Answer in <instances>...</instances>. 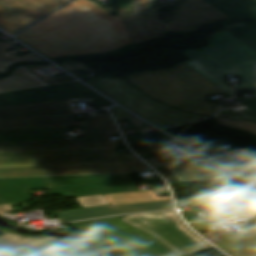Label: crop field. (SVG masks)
<instances>
[{
  "mask_svg": "<svg viewBox=\"0 0 256 256\" xmlns=\"http://www.w3.org/2000/svg\"><path fill=\"white\" fill-rule=\"evenodd\" d=\"M115 127L109 115L87 117L84 139L1 142L0 176L127 172L146 168L137 158L115 150L118 142L109 139L117 133Z\"/></svg>",
  "mask_w": 256,
  "mask_h": 256,
  "instance_id": "1",
  "label": "crop field"
},
{
  "mask_svg": "<svg viewBox=\"0 0 256 256\" xmlns=\"http://www.w3.org/2000/svg\"><path fill=\"white\" fill-rule=\"evenodd\" d=\"M48 58L118 49L132 40L120 18L89 0H76L17 36Z\"/></svg>",
  "mask_w": 256,
  "mask_h": 256,
  "instance_id": "2",
  "label": "crop field"
},
{
  "mask_svg": "<svg viewBox=\"0 0 256 256\" xmlns=\"http://www.w3.org/2000/svg\"><path fill=\"white\" fill-rule=\"evenodd\" d=\"M118 12L136 46L154 39H167L163 31L192 35L201 26L229 19L204 0H186L164 22L155 0H122Z\"/></svg>",
  "mask_w": 256,
  "mask_h": 256,
  "instance_id": "3",
  "label": "crop field"
},
{
  "mask_svg": "<svg viewBox=\"0 0 256 256\" xmlns=\"http://www.w3.org/2000/svg\"><path fill=\"white\" fill-rule=\"evenodd\" d=\"M125 78L149 96L189 113L216 114L220 103H206L204 95L223 93L230 98L183 63L174 69L143 72Z\"/></svg>",
  "mask_w": 256,
  "mask_h": 256,
  "instance_id": "4",
  "label": "crop field"
},
{
  "mask_svg": "<svg viewBox=\"0 0 256 256\" xmlns=\"http://www.w3.org/2000/svg\"><path fill=\"white\" fill-rule=\"evenodd\" d=\"M209 44L183 52L190 59L184 63L232 97L226 75L241 77L242 86L236 90L253 89L251 64H256V52L226 30L210 37Z\"/></svg>",
  "mask_w": 256,
  "mask_h": 256,
  "instance_id": "5",
  "label": "crop field"
},
{
  "mask_svg": "<svg viewBox=\"0 0 256 256\" xmlns=\"http://www.w3.org/2000/svg\"><path fill=\"white\" fill-rule=\"evenodd\" d=\"M87 82L165 130L210 118L188 114L155 101L122 77L103 76Z\"/></svg>",
  "mask_w": 256,
  "mask_h": 256,
  "instance_id": "6",
  "label": "crop field"
},
{
  "mask_svg": "<svg viewBox=\"0 0 256 256\" xmlns=\"http://www.w3.org/2000/svg\"><path fill=\"white\" fill-rule=\"evenodd\" d=\"M120 219L155 237L178 256L212 248L186 228L173 211L130 215Z\"/></svg>",
  "mask_w": 256,
  "mask_h": 256,
  "instance_id": "7",
  "label": "crop field"
},
{
  "mask_svg": "<svg viewBox=\"0 0 256 256\" xmlns=\"http://www.w3.org/2000/svg\"><path fill=\"white\" fill-rule=\"evenodd\" d=\"M80 236L109 250L119 240L122 249L154 239L116 217L74 222Z\"/></svg>",
  "mask_w": 256,
  "mask_h": 256,
  "instance_id": "8",
  "label": "crop field"
},
{
  "mask_svg": "<svg viewBox=\"0 0 256 256\" xmlns=\"http://www.w3.org/2000/svg\"><path fill=\"white\" fill-rule=\"evenodd\" d=\"M50 180L52 193L63 194L65 197L137 190L127 174L56 176L50 177Z\"/></svg>",
  "mask_w": 256,
  "mask_h": 256,
  "instance_id": "9",
  "label": "crop field"
},
{
  "mask_svg": "<svg viewBox=\"0 0 256 256\" xmlns=\"http://www.w3.org/2000/svg\"><path fill=\"white\" fill-rule=\"evenodd\" d=\"M60 5L53 0H0V26L15 33Z\"/></svg>",
  "mask_w": 256,
  "mask_h": 256,
  "instance_id": "10",
  "label": "crop field"
},
{
  "mask_svg": "<svg viewBox=\"0 0 256 256\" xmlns=\"http://www.w3.org/2000/svg\"><path fill=\"white\" fill-rule=\"evenodd\" d=\"M85 96L75 83H65L0 94V107Z\"/></svg>",
  "mask_w": 256,
  "mask_h": 256,
  "instance_id": "11",
  "label": "crop field"
},
{
  "mask_svg": "<svg viewBox=\"0 0 256 256\" xmlns=\"http://www.w3.org/2000/svg\"><path fill=\"white\" fill-rule=\"evenodd\" d=\"M73 99L75 101H72ZM73 99L2 107L0 108V120L73 114L69 103L77 102L80 99L86 100L85 97Z\"/></svg>",
  "mask_w": 256,
  "mask_h": 256,
  "instance_id": "12",
  "label": "crop field"
},
{
  "mask_svg": "<svg viewBox=\"0 0 256 256\" xmlns=\"http://www.w3.org/2000/svg\"><path fill=\"white\" fill-rule=\"evenodd\" d=\"M173 206L171 201L166 202H155V203H144V204H135L127 206L112 207L101 206L87 209H80L68 212L57 213L60 223L67 221H75L99 216L131 213V212H141V211H153V210H165L172 209Z\"/></svg>",
  "mask_w": 256,
  "mask_h": 256,
  "instance_id": "13",
  "label": "crop field"
},
{
  "mask_svg": "<svg viewBox=\"0 0 256 256\" xmlns=\"http://www.w3.org/2000/svg\"><path fill=\"white\" fill-rule=\"evenodd\" d=\"M49 188L46 177L0 179V204L27 202L30 189Z\"/></svg>",
  "mask_w": 256,
  "mask_h": 256,
  "instance_id": "14",
  "label": "crop field"
},
{
  "mask_svg": "<svg viewBox=\"0 0 256 256\" xmlns=\"http://www.w3.org/2000/svg\"><path fill=\"white\" fill-rule=\"evenodd\" d=\"M59 237L25 236L8 232L0 237V256H19Z\"/></svg>",
  "mask_w": 256,
  "mask_h": 256,
  "instance_id": "15",
  "label": "crop field"
},
{
  "mask_svg": "<svg viewBox=\"0 0 256 256\" xmlns=\"http://www.w3.org/2000/svg\"><path fill=\"white\" fill-rule=\"evenodd\" d=\"M83 122H76L75 116L22 119L0 121V130L50 128V127H75L82 126Z\"/></svg>",
  "mask_w": 256,
  "mask_h": 256,
  "instance_id": "16",
  "label": "crop field"
},
{
  "mask_svg": "<svg viewBox=\"0 0 256 256\" xmlns=\"http://www.w3.org/2000/svg\"><path fill=\"white\" fill-rule=\"evenodd\" d=\"M167 168L181 183L226 179L225 171L217 166L192 168L188 164Z\"/></svg>",
  "mask_w": 256,
  "mask_h": 256,
  "instance_id": "17",
  "label": "crop field"
},
{
  "mask_svg": "<svg viewBox=\"0 0 256 256\" xmlns=\"http://www.w3.org/2000/svg\"><path fill=\"white\" fill-rule=\"evenodd\" d=\"M86 248L66 239L59 238L39 249L21 256H88Z\"/></svg>",
  "mask_w": 256,
  "mask_h": 256,
  "instance_id": "18",
  "label": "crop field"
},
{
  "mask_svg": "<svg viewBox=\"0 0 256 256\" xmlns=\"http://www.w3.org/2000/svg\"><path fill=\"white\" fill-rule=\"evenodd\" d=\"M230 18L256 21V0H205Z\"/></svg>",
  "mask_w": 256,
  "mask_h": 256,
  "instance_id": "19",
  "label": "crop field"
},
{
  "mask_svg": "<svg viewBox=\"0 0 256 256\" xmlns=\"http://www.w3.org/2000/svg\"><path fill=\"white\" fill-rule=\"evenodd\" d=\"M47 85L24 66L15 68L11 76L0 79V93Z\"/></svg>",
  "mask_w": 256,
  "mask_h": 256,
  "instance_id": "20",
  "label": "crop field"
},
{
  "mask_svg": "<svg viewBox=\"0 0 256 256\" xmlns=\"http://www.w3.org/2000/svg\"><path fill=\"white\" fill-rule=\"evenodd\" d=\"M106 197L113 206L171 200L170 196L157 197L154 191L110 194Z\"/></svg>",
  "mask_w": 256,
  "mask_h": 256,
  "instance_id": "21",
  "label": "crop field"
},
{
  "mask_svg": "<svg viewBox=\"0 0 256 256\" xmlns=\"http://www.w3.org/2000/svg\"><path fill=\"white\" fill-rule=\"evenodd\" d=\"M121 253V256H177L156 239L121 250Z\"/></svg>",
  "mask_w": 256,
  "mask_h": 256,
  "instance_id": "22",
  "label": "crop field"
},
{
  "mask_svg": "<svg viewBox=\"0 0 256 256\" xmlns=\"http://www.w3.org/2000/svg\"><path fill=\"white\" fill-rule=\"evenodd\" d=\"M16 48L12 43H0V72H6L11 64L17 62H44L38 56L30 53L19 57L17 55H9L4 49ZM33 56L34 58H29Z\"/></svg>",
  "mask_w": 256,
  "mask_h": 256,
  "instance_id": "23",
  "label": "crop field"
},
{
  "mask_svg": "<svg viewBox=\"0 0 256 256\" xmlns=\"http://www.w3.org/2000/svg\"><path fill=\"white\" fill-rule=\"evenodd\" d=\"M224 29L256 51V28L248 24L235 23L224 27Z\"/></svg>",
  "mask_w": 256,
  "mask_h": 256,
  "instance_id": "24",
  "label": "crop field"
},
{
  "mask_svg": "<svg viewBox=\"0 0 256 256\" xmlns=\"http://www.w3.org/2000/svg\"><path fill=\"white\" fill-rule=\"evenodd\" d=\"M216 119L219 124H223L226 126H230L233 128H237L240 130H244V131L256 134V123L246 122V121L233 122V121H229V120H225L217 117Z\"/></svg>",
  "mask_w": 256,
  "mask_h": 256,
  "instance_id": "25",
  "label": "crop field"
},
{
  "mask_svg": "<svg viewBox=\"0 0 256 256\" xmlns=\"http://www.w3.org/2000/svg\"><path fill=\"white\" fill-rule=\"evenodd\" d=\"M61 66L64 68L68 69L69 71H84L88 73H93L94 71L82 64L79 61H74V62H66V63H60Z\"/></svg>",
  "mask_w": 256,
  "mask_h": 256,
  "instance_id": "26",
  "label": "crop field"
},
{
  "mask_svg": "<svg viewBox=\"0 0 256 256\" xmlns=\"http://www.w3.org/2000/svg\"><path fill=\"white\" fill-rule=\"evenodd\" d=\"M79 86L82 88L84 94L87 97H94L96 99L95 103L96 104H100L102 106H109L111 105V103L105 101L103 98H101L100 96H98L97 94L93 93L92 91L88 90L87 88L83 87L82 85L79 84ZM86 97V98H87ZM88 101V100H87Z\"/></svg>",
  "mask_w": 256,
  "mask_h": 256,
  "instance_id": "27",
  "label": "crop field"
},
{
  "mask_svg": "<svg viewBox=\"0 0 256 256\" xmlns=\"http://www.w3.org/2000/svg\"><path fill=\"white\" fill-rule=\"evenodd\" d=\"M256 112V98H235Z\"/></svg>",
  "mask_w": 256,
  "mask_h": 256,
  "instance_id": "28",
  "label": "crop field"
},
{
  "mask_svg": "<svg viewBox=\"0 0 256 256\" xmlns=\"http://www.w3.org/2000/svg\"><path fill=\"white\" fill-rule=\"evenodd\" d=\"M112 111H113L117 121L132 117L130 114L126 113L125 111H123L122 109H120L118 107L113 108Z\"/></svg>",
  "mask_w": 256,
  "mask_h": 256,
  "instance_id": "29",
  "label": "crop field"
},
{
  "mask_svg": "<svg viewBox=\"0 0 256 256\" xmlns=\"http://www.w3.org/2000/svg\"><path fill=\"white\" fill-rule=\"evenodd\" d=\"M158 161H160V160H158V159L148 160V162L151 163L153 166L182 163V161L167 162V163H155V162H158Z\"/></svg>",
  "mask_w": 256,
  "mask_h": 256,
  "instance_id": "30",
  "label": "crop field"
},
{
  "mask_svg": "<svg viewBox=\"0 0 256 256\" xmlns=\"http://www.w3.org/2000/svg\"><path fill=\"white\" fill-rule=\"evenodd\" d=\"M252 71H253L254 93L256 96V65H252Z\"/></svg>",
  "mask_w": 256,
  "mask_h": 256,
  "instance_id": "31",
  "label": "crop field"
},
{
  "mask_svg": "<svg viewBox=\"0 0 256 256\" xmlns=\"http://www.w3.org/2000/svg\"><path fill=\"white\" fill-rule=\"evenodd\" d=\"M92 255V254H91ZM92 256H95V255H92Z\"/></svg>",
  "mask_w": 256,
  "mask_h": 256,
  "instance_id": "32",
  "label": "crop field"
}]
</instances>
